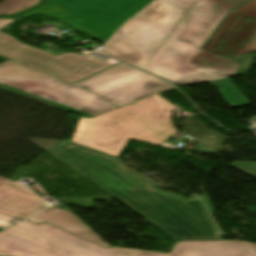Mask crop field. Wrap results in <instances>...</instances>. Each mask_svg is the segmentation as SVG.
<instances>
[{"label": "crop field", "mask_w": 256, "mask_h": 256, "mask_svg": "<svg viewBox=\"0 0 256 256\" xmlns=\"http://www.w3.org/2000/svg\"><path fill=\"white\" fill-rule=\"evenodd\" d=\"M248 0H156L124 24L106 55L172 82L235 75L239 63L200 49L230 9Z\"/></svg>", "instance_id": "1"}, {"label": "crop field", "mask_w": 256, "mask_h": 256, "mask_svg": "<svg viewBox=\"0 0 256 256\" xmlns=\"http://www.w3.org/2000/svg\"><path fill=\"white\" fill-rule=\"evenodd\" d=\"M175 240L222 239L198 197L184 200L153 188L117 158L69 141L28 138Z\"/></svg>", "instance_id": "2"}, {"label": "crop field", "mask_w": 256, "mask_h": 256, "mask_svg": "<svg viewBox=\"0 0 256 256\" xmlns=\"http://www.w3.org/2000/svg\"><path fill=\"white\" fill-rule=\"evenodd\" d=\"M105 248L46 222L25 220L0 233L4 256H256L255 245L237 240L180 241L170 254Z\"/></svg>", "instance_id": "3"}, {"label": "crop field", "mask_w": 256, "mask_h": 256, "mask_svg": "<svg viewBox=\"0 0 256 256\" xmlns=\"http://www.w3.org/2000/svg\"><path fill=\"white\" fill-rule=\"evenodd\" d=\"M172 105L153 95L89 119L80 117L72 142L119 157L129 139L159 145L177 132Z\"/></svg>", "instance_id": "4"}, {"label": "crop field", "mask_w": 256, "mask_h": 256, "mask_svg": "<svg viewBox=\"0 0 256 256\" xmlns=\"http://www.w3.org/2000/svg\"><path fill=\"white\" fill-rule=\"evenodd\" d=\"M154 0H49L35 13L66 23L106 43L118 28Z\"/></svg>", "instance_id": "5"}, {"label": "crop field", "mask_w": 256, "mask_h": 256, "mask_svg": "<svg viewBox=\"0 0 256 256\" xmlns=\"http://www.w3.org/2000/svg\"><path fill=\"white\" fill-rule=\"evenodd\" d=\"M0 87L88 117L115 108L87 90L14 62L0 65Z\"/></svg>", "instance_id": "6"}, {"label": "crop field", "mask_w": 256, "mask_h": 256, "mask_svg": "<svg viewBox=\"0 0 256 256\" xmlns=\"http://www.w3.org/2000/svg\"><path fill=\"white\" fill-rule=\"evenodd\" d=\"M0 55L70 83L111 66L92 57L77 54H62L56 57L1 32Z\"/></svg>", "instance_id": "7"}, {"label": "crop field", "mask_w": 256, "mask_h": 256, "mask_svg": "<svg viewBox=\"0 0 256 256\" xmlns=\"http://www.w3.org/2000/svg\"><path fill=\"white\" fill-rule=\"evenodd\" d=\"M74 85L92 91L119 107L172 87L168 82L123 63Z\"/></svg>", "instance_id": "8"}, {"label": "crop field", "mask_w": 256, "mask_h": 256, "mask_svg": "<svg viewBox=\"0 0 256 256\" xmlns=\"http://www.w3.org/2000/svg\"><path fill=\"white\" fill-rule=\"evenodd\" d=\"M234 10L235 11H231L228 18L226 17L227 19L218 28V30L214 33V35L209 39V41L204 45L203 49L208 50L215 54L226 56L227 52L232 48L235 41L241 36V34L246 29V27L252 21V18L256 17V0H251ZM238 12L243 13L252 18L242 15ZM235 14L237 15L235 18H233ZM236 30L238 31L233 36V38L229 41V39L232 37V35L235 33ZM228 32L230 33L227 35V37L224 39V41L221 43L218 49L215 50ZM228 41L229 43L226 45ZM225 45L226 47L223 49ZM222 49L223 51L221 52ZM255 51H256V20H254V22L251 24V26L248 28V30L245 32V34L242 36V38L239 40L236 46L229 53L227 58L233 61L242 63V61L246 56L245 54L255 52Z\"/></svg>", "instance_id": "9"}, {"label": "crop field", "mask_w": 256, "mask_h": 256, "mask_svg": "<svg viewBox=\"0 0 256 256\" xmlns=\"http://www.w3.org/2000/svg\"><path fill=\"white\" fill-rule=\"evenodd\" d=\"M50 204L20 183L0 177V213L27 218Z\"/></svg>", "instance_id": "10"}, {"label": "crop field", "mask_w": 256, "mask_h": 256, "mask_svg": "<svg viewBox=\"0 0 256 256\" xmlns=\"http://www.w3.org/2000/svg\"><path fill=\"white\" fill-rule=\"evenodd\" d=\"M27 220L37 224L46 221L59 228L76 234L103 247H109L99 236L89 229L83 222L68 210H60L54 206L28 218Z\"/></svg>", "instance_id": "11"}, {"label": "crop field", "mask_w": 256, "mask_h": 256, "mask_svg": "<svg viewBox=\"0 0 256 256\" xmlns=\"http://www.w3.org/2000/svg\"><path fill=\"white\" fill-rule=\"evenodd\" d=\"M213 86L221 91L222 97L225 99L230 108L249 105V101L232 85L228 80H220L211 82Z\"/></svg>", "instance_id": "12"}, {"label": "crop field", "mask_w": 256, "mask_h": 256, "mask_svg": "<svg viewBox=\"0 0 256 256\" xmlns=\"http://www.w3.org/2000/svg\"><path fill=\"white\" fill-rule=\"evenodd\" d=\"M42 0H4L0 2V15H13L39 4Z\"/></svg>", "instance_id": "13"}, {"label": "crop field", "mask_w": 256, "mask_h": 256, "mask_svg": "<svg viewBox=\"0 0 256 256\" xmlns=\"http://www.w3.org/2000/svg\"><path fill=\"white\" fill-rule=\"evenodd\" d=\"M229 165L252 177H256V162H233Z\"/></svg>", "instance_id": "14"}, {"label": "crop field", "mask_w": 256, "mask_h": 256, "mask_svg": "<svg viewBox=\"0 0 256 256\" xmlns=\"http://www.w3.org/2000/svg\"><path fill=\"white\" fill-rule=\"evenodd\" d=\"M12 219L14 218L0 214V231L12 225L11 223H9Z\"/></svg>", "instance_id": "15"}, {"label": "crop field", "mask_w": 256, "mask_h": 256, "mask_svg": "<svg viewBox=\"0 0 256 256\" xmlns=\"http://www.w3.org/2000/svg\"><path fill=\"white\" fill-rule=\"evenodd\" d=\"M200 196L203 198L204 202L206 203L207 207L209 208V210L211 211V213H212V215H213L214 210H213V208H212V206H211V203H210V201H209L208 195H207V194H204V195H200Z\"/></svg>", "instance_id": "16"}, {"label": "crop field", "mask_w": 256, "mask_h": 256, "mask_svg": "<svg viewBox=\"0 0 256 256\" xmlns=\"http://www.w3.org/2000/svg\"><path fill=\"white\" fill-rule=\"evenodd\" d=\"M16 20L14 19H0V29L15 22Z\"/></svg>", "instance_id": "17"}, {"label": "crop field", "mask_w": 256, "mask_h": 256, "mask_svg": "<svg viewBox=\"0 0 256 256\" xmlns=\"http://www.w3.org/2000/svg\"><path fill=\"white\" fill-rule=\"evenodd\" d=\"M10 59L5 58L3 56H0V63L4 62V61H9Z\"/></svg>", "instance_id": "18"}, {"label": "crop field", "mask_w": 256, "mask_h": 256, "mask_svg": "<svg viewBox=\"0 0 256 256\" xmlns=\"http://www.w3.org/2000/svg\"><path fill=\"white\" fill-rule=\"evenodd\" d=\"M110 104V103H109ZM112 105V104H111ZM114 106V105H113Z\"/></svg>", "instance_id": "19"}]
</instances>
